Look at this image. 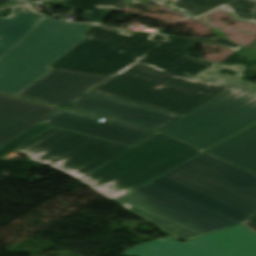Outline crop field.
<instances>
[{"mask_svg": "<svg viewBox=\"0 0 256 256\" xmlns=\"http://www.w3.org/2000/svg\"><path fill=\"white\" fill-rule=\"evenodd\" d=\"M83 35L87 38L50 67L111 76L91 90L183 115L230 87L174 76L133 61L191 77L214 64L187 56L191 44L213 42L234 51L242 47L223 37L130 35L94 23ZM160 84L164 88H156Z\"/></svg>", "mask_w": 256, "mask_h": 256, "instance_id": "crop-field-1", "label": "crop field"}, {"mask_svg": "<svg viewBox=\"0 0 256 256\" xmlns=\"http://www.w3.org/2000/svg\"><path fill=\"white\" fill-rule=\"evenodd\" d=\"M116 201L181 240L239 224L251 216L161 177Z\"/></svg>", "mask_w": 256, "mask_h": 256, "instance_id": "crop-field-2", "label": "crop field"}, {"mask_svg": "<svg viewBox=\"0 0 256 256\" xmlns=\"http://www.w3.org/2000/svg\"><path fill=\"white\" fill-rule=\"evenodd\" d=\"M222 68L238 73H218ZM244 70V65L215 64L193 76L233 87L160 132L203 149L256 121V84L240 79Z\"/></svg>", "mask_w": 256, "mask_h": 256, "instance_id": "crop-field-3", "label": "crop field"}, {"mask_svg": "<svg viewBox=\"0 0 256 256\" xmlns=\"http://www.w3.org/2000/svg\"><path fill=\"white\" fill-rule=\"evenodd\" d=\"M199 152L157 133L79 180L115 200Z\"/></svg>", "mask_w": 256, "mask_h": 256, "instance_id": "crop-field-4", "label": "crop field"}, {"mask_svg": "<svg viewBox=\"0 0 256 256\" xmlns=\"http://www.w3.org/2000/svg\"><path fill=\"white\" fill-rule=\"evenodd\" d=\"M89 24L48 17L0 60V91L18 95L52 68L47 67L80 41Z\"/></svg>", "mask_w": 256, "mask_h": 256, "instance_id": "crop-field-5", "label": "crop field"}, {"mask_svg": "<svg viewBox=\"0 0 256 256\" xmlns=\"http://www.w3.org/2000/svg\"><path fill=\"white\" fill-rule=\"evenodd\" d=\"M161 177L243 212L256 213V175L205 152Z\"/></svg>", "mask_w": 256, "mask_h": 256, "instance_id": "crop-field-6", "label": "crop field"}, {"mask_svg": "<svg viewBox=\"0 0 256 256\" xmlns=\"http://www.w3.org/2000/svg\"><path fill=\"white\" fill-rule=\"evenodd\" d=\"M129 148L51 127L14 152L79 179Z\"/></svg>", "mask_w": 256, "mask_h": 256, "instance_id": "crop-field-7", "label": "crop field"}, {"mask_svg": "<svg viewBox=\"0 0 256 256\" xmlns=\"http://www.w3.org/2000/svg\"><path fill=\"white\" fill-rule=\"evenodd\" d=\"M125 256H256V234L239 224L184 243L154 240L125 250Z\"/></svg>", "mask_w": 256, "mask_h": 256, "instance_id": "crop-field-8", "label": "crop field"}, {"mask_svg": "<svg viewBox=\"0 0 256 256\" xmlns=\"http://www.w3.org/2000/svg\"><path fill=\"white\" fill-rule=\"evenodd\" d=\"M68 108L159 131L183 115L90 91Z\"/></svg>", "mask_w": 256, "mask_h": 256, "instance_id": "crop-field-9", "label": "crop field"}, {"mask_svg": "<svg viewBox=\"0 0 256 256\" xmlns=\"http://www.w3.org/2000/svg\"><path fill=\"white\" fill-rule=\"evenodd\" d=\"M106 78L108 77L55 69L19 95L66 107Z\"/></svg>", "mask_w": 256, "mask_h": 256, "instance_id": "crop-field-10", "label": "crop field"}, {"mask_svg": "<svg viewBox=\"0 0 256 256\" xmlns=\"http://www.w3.org/2000/svg\"><path fill=\"white\" fill-rule=\"evenodd\" d=\"M42 123L130 146L135 145L155 132L108 119L100 122L98 118L64 109L54 113L43 120Z\"/></svg>", "mask_w": 256, "mask_h": 256, "instance_id": "crop-field-11", "label": "crop field"}, {"mask_svg": "<svg viewBox=\"0 0 256 256\" xmlns=\"http://www.w3.org/2000/svg\"><path fill=\"white\" fill-rule=\"evenodd\" d=\"M60 108L10 95H0V147Z\"/></svg>", "mask_w": 256, "mask_h": 256, "instance_id": "crop-field-12", "label": "crop field"}, {"mask_svg": "<svg viewBox=\"0 0 256 256\" xmlns=\"http://www.w3.org/2000/svg\"><path fill=\"white\" fill-rule=\"evenodd\" d=\"M8 17H0V59L48 16L30 4L12 7Z\"/></svg>", "mask_w": 256, "mask_h": 256, "instance_id": "crop-field-13", "label": "crop field"}, {"mask_svg": "<svg viewBox=\"0 0 256 256\" xmlns=\"http://www.w3.org/2000/svg\"><path fill=\"white\" fill-rule=\"evenodd\" d=\"M206 151L256 172V123Z\"/></svg>", "mask_w": 256, "mask_h": 256, "instance_id": "crop-field-14", "label": "crop field"}, {"mask_svg": "<svg viewBox=\"0 0 256 256\" xmlns=\"http://www.w3.org/2000/svg\"><path fill=\"white\" fill-rule=\"evenodd\" d=\"M168 6L181 9L193 18H198L225 6L237 19L256 23V0H177Z\"/></svg>", "mask_w": 256, "mask_h": 256, "instance_id": "crop-field-15", "label": "crop field"}, {"mask_svg": "<svg viewBox=\"0 0 256 256\" xmlns=\"http://www.w3.org/2000/svg\"><path fill=\"white\" fill-rule=\"evenodd\" d=\"M125 3V0H67L62 6L80 9L86 12V21L101 23L108 14L104 7L120 9Z\"/></svg>", "mask_w": 256, "mask_h": 256, "instance_id": "crop-field-16", "label": "crop field"}, {"mask_svg": "<svg viewBox=\"0 0 256 256\" xmlns=\"http://www.w3.org/2000/svg\"><path fill=\"white\" fill-rule=\"evenodd\" d=\"M48 127L49 126H46V125H43V124H40V123L36 124L35 126L30 128L26 132L21 134L20 136H18L17 138L13 139L9 143H7L3 147H1L0 148V157H3L6 154L10 153L13 149L20 146L21 144H23L24 142H26L27 140L34 137L35 135L42 132L43 130H45Z\"/></svg>", "mask_w": 256, "mask_h": 256, "instance_id": "crop-field-17", "label": "crop field"}, {"mask_svg": "<svg viewBox=\"0 0 256 256\" xmlns=\"http://www.w3.org/2000/svg\"><path fill=\"white\" fill-rule=\"evenodd\" d=\"M246 225H248L250 228H252L253 230L256 231V214L253 215L252 217H250L248 220H246L245 222Z\"/></svg>", "mask_w": 256, "mask_h": 256, "instance_id": "crop-field-18", "label": "crop field"}, {"mask_svg": "<svg viewBox=\"0 0 256 256\" xmlns=\"http://www.w3.org/2000/svg\"><path fill=\"white\" fill-rule=\"evenodd\" d=\"M27 1H33V0H14V1H11V2H8L6 4L1 5L0 8L1 7H5V6H10V5L18 4V3H22V2H27Z\"/></svg>", "mask_w": 256, "mask_h": 256, "instance_id": "crop-field-19", "label": "crop field"}, {"mask_svg": "<svg viewBox=\"0 0 256 256\" xmlns=\"http://www.w3.org/2000/svg\"><path fill=\"white\" fill-rule=\"evenodd\" d=\"M8 1H11V0H0V5L3 4V3H6Z\"/></svg>", "mask_w": 256, "mask_h": 256, "instance_id": "crop-field-20", "label": "crop field"}, {"mask_svg": "<svg viewBox=\"0 0 256 256\" xmlns=\"http://www.w3.org/2000/svg\"><path fill=\"white\" fill-rule=\"evenodd\" d=\"M136 62H140V61H138V60H136ZM140 63H143V62H140ZM144 64H146V63H144ZM151 66V65H150ZM154 67V66H153ZM159 69V68H158ZM162 70V69H161ZM167 72V71H166ZM170 73V72H169ZM175 75V74H174ZM179 76V75H178ZM188 78V77H187Z\"/></svg>", "mask_w": 256, "mask_h": 256, "instance_id": "crop-field-21", "label": "crop field"}, {"mask_svg": "<svg viewBox=\"0 0 256 256\" xmlns=\"http://www.w3.org/2000/svg\"><path fill=\"white\" fill-rule=\"evenodd\" d=\"M33 256H36V255H33Z\"/></svg>", "mask_w": 256, "mask_h": 256, "instance_id": "crop-field-22", "label": "crop field"}]
</instances>
